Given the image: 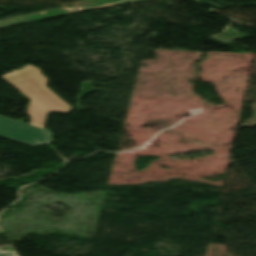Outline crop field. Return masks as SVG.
Segmentation results:
<instances>
[{"instance_id": "crop-field-1", "label": "crop field", "mask_w": 256, "mask_h": 256, "mask_svg": "<svg viewBox=\"0 0 256 256\" xmlns=\"http://www.w3.org/2000/svg\"><path fill=\"white\" fill-rule=\"evenodd\" d=\"M2 78L31 99L27 114L31 115V125L0 116V137L29 144L31 146L51 143L47 130H43L49 111L69 112L71 107L45 85L48 80L35 66L13 71Z\"/></svg>"}, {"instance_id": "crop-field-2", "label": "crop field", "mask_w": 256, "mask_h": 256, "mask_svg": "<svg viewBox=\"0 0 256 256\" xmlns=\"http://www.w3.org/2000/svg\"><path fill=\"white\" fill-rule=\"evenodd\" d=\"M14 255H16V253H12V252L3 253V252H0V256H14Z\"/></svg>"}]
</instances>
